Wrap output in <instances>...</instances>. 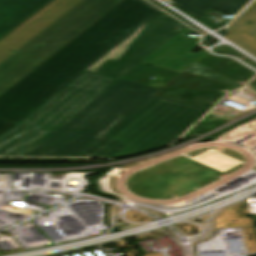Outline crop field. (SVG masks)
I'll use <instances>...</instances> for the list:
<instances>
[{
	"label": "crop field",
	"instance_id": "8a807250",
	"mask_svg": "<svg viewBox=\"0 0 256 256\" xmlns=\"http://www.w3.org/2000/svg\"><path fill=\"white\" fill-rule=\"evenodd\" d=\"M161 12L144 0H125L0 96V119L17 123Z\"/></svg>",
	"mask_w": 256,
	"mask_h": 256
},
{
	"label": "crop field",
	"instance_id": "ac0d7876",
	"mask_svg": "<svg viewBox=\"0 0 256 256\" xmlns=\"http://www.w3.org/2000/svg\"><path fill=\"white\" fill-rule=\"evenodd\" d=\"M208 111L152 95L75 156L115 158L165 146Z\"/></svg>",
	"mask_w": 256,
	"mask_h": 256
},
{
	"label": "crop field",
	"instance_id": "34b2d1b8",
	"mask_svg": "<svg viewBox=\"0 0 256 256\" xmlns=\"http://www.w3.org/2000/svg\"><path fill=\"white\" fill-rule=\"evenodd\" d=\"M158 90L120 79L22 156H73Z\"/></svg>",
	"mask_w": 256,
	"mask_h": 256
},
{
	"label": "crop field",
	"instance_id": "412701ff",
	"mask_svg": "<svg viewBox=\"0 0 256 256\" xmlns=\"http://www.w3.org/2000/svg\"><path fill=\"white\" fill-rule=\"evenodd\" d=\"M115 81L84 71L0 136V156L22 155Z\"/></svg>",
	"mask_w": 256,
	"mask_h": 256
},
{
	"label": "crop field",
	"instance_id": "f4fd0767",
	"mask_svg": "<svg viewBox=\"0 0 256 256\" xmlns=\"http://www.w3.org/2000/svg\"><path fill=\"white\" fill-rule=\"evenodd\" d=\"M124 0H84L0 65V95Z\"/></svg>",
	"mask_w": 256,
	"mask_h": 256
},
{
	"label": "crop field",
	"instance_id": "dd49c442",
	"mask_svg": "<svg viewBox=\"0 0 256 256\" xmlns=\"http://www.w3.org/2000/svg\"><path fill=\"white\" fill-rule=\"evenodd\" d=\"M185 28L162 12L86 71L119 79Z\"/></svg>",
	"mask_w": 256,
	"mask_h": 256
},
{
	"label": "crop field",
	"instance_id": "e52e79f7",
	"mask_svg": "<svg viewBox=\"0 0 256 256\" xmlns=\"http://www.w3.org/2000/svg\"><path fill=\"white\" fill-rule=\"evenodd\" d=\"M82 0H53L0 40V64Z\"/></svg>",
	"mask_w": 256,
	"mask_h": 256
},
{
	"label": "crop field",
	"instance_id": "d8731c3e",
	"mask_svg": "<svg viewBox=\"0 0 256 256\" xmlns=\"http://www.w3.org/2000/svg\"><path fill=\"white\" fill-rule=\"evenodd\" d=\"M191 31L188 27L147 58L143 63L165 68L181 73L200 57L206 54V50L198 53L191 52L197 45L199 38L184 37Z\"/></svg>",
	"mask_w": 256,
	"mask_h": 256
},
{
	"label": "crop field",
	"instance_id": "5a996713",
	"mask_svg": "<svg viewBox=\"0 0 256 256\" xmlns=\"http://www.w3.org/2000/svg\"><path fill=\"white\" fill-rule=\"evenodd\" d=\"M225 37L256 56V0L230 26V32Z\"/></svg>",
	"mask_w": 256,
	"mask_h": 256
},
{
	"label": "crop field",
	"instance_id": "3316defc",
	"mask_svg": "<svg viewBox=\"0 0 256 256\" xmlns=\"http://www.w3.org/2000/svg\"><path fill=\"white\" fill-rule=\"evenodd\" d=\"M49 0H0V36Z\"/></svg>",
	"mask_w": 256,
	"mask_h": 256
},
{
	"label": "crop field",
	"instance_id": "28ad6ade",
	"mask_svg": "<svg viewBox=\"0 0 256 256\" xmlns=\"http://www.w3.org/2000/svg\"><path fill=\"white\" fill-rule=\"evenodd\" d=\"M176 4L195 17L201 19L209 10H218L237 14L251 0H166Z\"/></svg>",
	"mask_w": 256,
	"mask_h": 256
},
{
	"label": "crop field",
	"instance_id": "d1516ede",
	"mask_svg": "<svg viewBox=\"0 0 256 256\" xmlns=\"http://www.w3.org/2000/svg\"><path fill=\"white\" fill-rule=\"evenodd\" d=\"M13 125H15V123L0 120V135H2L5 131H7Z\"/></svg>",
	"mask_w": 256,
	"mask_h": 256
}]
</instances>
